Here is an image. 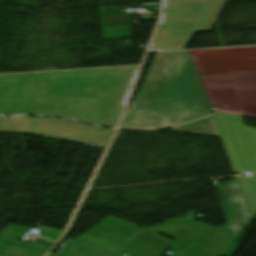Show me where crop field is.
I'll list each match as a JSON object with an SVG mask.
<instances>
[{"label": "crop field", "instance_id": "1", "mask_svg": "<svg viewBox=\"0 0 256 256\" xmlns=\"http://www.w3.org/2000/svg\"><path fill=\"white\" fill-rule=\"evenodd\" d=\"M137 68L0 75V114L52 116L112 127Z\"/></svg>", "mask_w": 256, "mask_h": 256}, {"label": "crop field", "instance_id": "2", "mask_svg": "<svg viewBox=\"0 0 256 256\" xmlns=\"http://www.w3.org/2000/svg\"><path fill=\"white\" fill-rule=\"evenodd\" d=\"M166 76H171V80H166ZM210 113L190 53H159L121 128L159 129Z\"/></svg>", "mask_w": 256, "mask_h": 256}, {"label": "crop field", "instance_id": "3", "mask_svg": "<svg viewBox=\"0 0 256 256\" xmlns=\"http://www.w3.org/2000/svg\"><path fill=\"white\" fill-rule=\"evenodd\" d=\"M227 0H164L150 51L185 49L194 32L210 31Z\"/></svg>", "mask_w": 256, "mask_h": 256}, {"label": "crop field", "instance_id": "4", "mask_svg": "<svg viewBox=\"0 0 256 256\" xmlns=\"http://www.w3.org/2000/svg\"><path fill=\"white\" fill-rule=\"evenodd\" d=\"M233 172L251 170L252 177H237L251 219L256 215V129L243 126L239 116L214 114Z\"/></svg>", "mask_w": 256, "mask_h": 256}, {"label": "crop field", "instance_id": "5", "mask_svg": "<svg viewBox=\"0 0 256 256\" xmlns=\"http://www.w3.org/2000/svg\"><path fill=\"white\" fill-rule=\"evenodd\" d=\"M199 78L211 110L256 117V74Z\"/></svg>", "mask_w": 256, "mask_h": 256}, {"label": "crop field", "instance_id": "6", "mask_svg": "<svg viewBox=\"0 0 256 256\" xmlns=\"http://www.w3.org/2000/svg\"><path fill=\"white\" fill-rule=\"evenodd\" d=\"M30 133L104 149L112 131L63 120L34 118Z\"/></svg>", "mask_w": 256, "mask_h": 256}, {"label": "crop field", "instance_id": "7", "mask_svg": "<svg viewBox=\"0 0 256 256\" xmlns=\"http://www.w3.org/2000/svg\"><path fill=\"white\" fill-rule=\"evenodd\" d=\"M140 229L109 217L75 239V241L116 253Z\"/></svg>", "mask_w": 256, "mask_h": 256}, {"label": "crop field", "instance_id": "8", "mask_svg": "<svg viewBox=\"0 0 256 256\" xmlns=\"http://www.w3.org/2000/svg\"><path fill=\"white\" fill-rule=\"evenodd\" d=\"M215 186L236 242L243 227L251 223L237 181Z\"/></svg>", "mask_w": 256, "mask_h": 256}, {"label": "crop field", "instance_id": "9", "mask_svg": "<svg viewBox=\"0 0 256 256\" xmlns=\"http://www.w3.org/2000/svg\"><path fill=\"white\" fill-rule=\"evenodd\" d=\"M29 230L12 224L5 227L0 232V256H43L48 248L15 241Z\"/></svg>", "mask_w": 256, "mask_h": 256}, {"label": "crop field", "instance_id": "10", "mask_svg": "<svg viewBox=\"0 0 256 256\" xmlns=\"http://www.w3.org/2000/svg\"><path fill=\"white\" fill-rule=\"evenodd\" d=\"M115 253L88 246L71 240L59 248L55 256H114Z\"/></svg>", "mask_w": 256, "mask_h": 256}, {"label": "crop field", "instance_id": "11", "mask_svg": "<svg viewBox=\"0 0 256 256\" xmlns=\"http://www.w3.org/2000/svg\"><path fill=\"white\" fill-rule=\"evenodd\" d=\"M173 129L174 131H182L188 133L220 137L213 116L192 123H188L182 126L174 127Z\"/></svg>", "mask_w": 256, "mask_h": 256}, {"label": "crop field", "instance_id": "12", "mask_svg": "<svg viewBox=\"0 0 256 256\" xmlns=\"http://www.w3.org/2000/svg\"><path fill=\"white\" fill-rule=\"evenodd\" d=\"M31 118L0 117V132L29 133Z\"/></svg>", "mask_w": 256, "mask_h": 256}]
</instances>
